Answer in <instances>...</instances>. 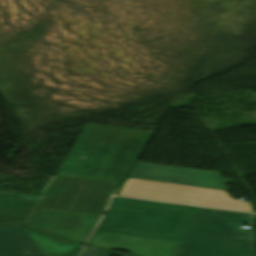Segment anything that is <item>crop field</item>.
Instances as JSON below:
<instances>
[{
	"label": "crop field",
	"mask_w": 256,
	"mask_h": 256,
	"mask_svg": "<svg viewBox=\"0 0 256 256\" xmlns=\"http://www.w3.org/2000/svg\"><path fill=\"white\" fill-rule=\"evenodd\" d=\"M130 177L222 190H229L226 184L233 183L216 172L142 162H138Z\"/></svg>",
	"instance_id": "f4fd0767"
},
{
	"label": "crop field",
	"mask_w": 256,
	"mask_h": 256,
	"mask_svg": "<svg viewBox=\"0 0 256 256\" xmlns=\"http://www.w3.org/2000/svg\"><path fill=\"white\" fill-rule=\"evenodd\" d=\"M97 256H108L110 254L112 255H118V256H131V255H126V254H121V253H116V252H111V251H106L102 249H97L93 247H89Z\"/></svg>",
	"instance_id": "e52e79f7"
},
{
	"label": "crop field",
	"mask_w": 256,
	"mask_h": 256,
	"mask_svg": "<svg viewBox=\"0 0 256 256\" xmlns=\"http://www.w3.org/2000/svg\"><path fill=\"white\" fill-rule=\"evenodd\" d=\"M80 256H94L88 248H85Z\"/></svg>",
	"instance_id": "d8731c3e"
},
{
	"label": "crop field",
	"mask_w": 256,
	"mask_h": 256,
	"mask_svg": "<svg viewBox=\"0 0 256 256\" xmlns=\"http://www.w3.org/2000/svg\"><path fill=\"white\" fill-rule=\"evenodd\" d=\"M81 247L18 225L0 227V256H76Z\"/></svg>",
	"instance_id": "412701ff"
},
{
	"label": "crop field",
	"mask_w": 256,
	"mask_h": 256,
	"mask_svg": "<svg viewBox=\"0 0 256 256\" xmlns=\"http://www.w3.org/2000/svg\"><path fill=\"white\" fill-rule=\"evenodd\" d=\"M253 214L116 197L90 246L139 256H256Z\"/></svg>",
	"instance_id": "8a807250"
},
{
	"label": "crop field",
	"mask_w": 256,
	"mask_h": 256,
	"mask_svg": "<svg viewBox=\"0 0 256 256\" xmlns=\"http://www.w3.org/2000/svg\"><path fill=\"white\" fill-rule=\"evenodd\" d=\"M97 220L91 216L36 210L27 227L84 243Z\"/></svg>",
	"instance_id": "dd49c442"
},
{
	"label": "crop field",
	"mask_w": 256,
	"mask_h": 256,
	"mask_svg": "<svg viewBox=\"0 0 256 256\" xmlns=\"http://www.w3.org/2000/svg\"><path fill=\"white\" fill-rule=\"evenodd\" d=\"M152 135L87 123L58 173L125 180Z\"/></svg>",
	"instance_id": "ac0d7876"
},
{
	"label": "crop field",
	"mask_w": 256,
	"mask_h": 256,
	"mask_svg": "<svg viewBox=\"0 0 256 256\" xmlns=\"http://www.w3.org/2000/svg\"><path fill=\"white\" fill-rule=\"evenodd\" d=\"M120 195L253 212L252 203L230 198L227 191L149 180L128 178Z\"/></svg>",
	"instance_id": "34b2d1b8"
}]
</instances>
